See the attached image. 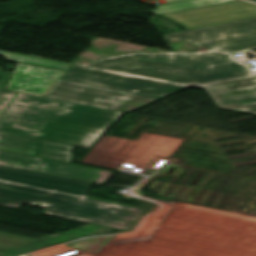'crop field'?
I'll return each instance as SVG.
<instances>
[{
	"label": "crop field",
	"instance_id": "8",
	"mask_svg": "<svg viewBox=\"0 0 256 256\" xmlns=\"http://www.w3.org/2000/svg\"><path fill=\"white\" fill-rule=\"evenodd\" d=\"M0 149L70 162L72 146L0 132Z\"/></svg>",
	"mask_w": 256,
	"mask_h": 256
},
{
	"label": "crop field",
	"instance_id": "13",
	"mask_svg": "<svg viewBox=\"0 0 256 256\" xmlns=\"http://www.w3.org/2000/svg\"><path fill=\"white\" fill-rule=\"evenodd\" d=\"M7 82L5 81H0V88L4 89V87L6 86Z\"/></svg>",
	"mask_w": 256,
	"mask_h": 256
},
{
	"label": "crop field",
	"instance_id": "15",
	"mask_svg": "<svg viewBox=\"0 0 256 256\" xmlns=\"http://www.w3.org/2000/svg\"><path fill=\"white\" fill-rule=\"evenodd\" d=\"M250 1H254V2H256V0H250Z\"/></svg>",
	"mask_w": 256,
	"mask_h": 256
},
{
	"label": "crop field",
	"instance_id": "3",
	"mask_svg": "<svg viewBox=\"0 0 256 256\" xmlns=\"http://www.w3.org/2000/svg\"><path fill=\"white\" fill-rule=\"evenodd\" d=\"M123 113L19 93L0 131L90 148Z\"/></svg>",
	"mask_w": 256,
	"mask_h": 256
},
{
	"label": "crop field",
	"instance_id": "7",
	"mask_svg": "<svg viewBox=\"0 0 256 256\" xmlns=\"http://www.w3.org/2000/svg\"><path fill=\"white\" fill-rule=\"evenodd\" d=\"M187 29L256 17V5L237 1L163 15Z\"/></svg>",
	"mask_w": 256,
	"mask_h": 256
},
{
	"label": "crop field",
	"instance_id": "12",
	"mask_svg": "<svg viewBox=\"0 0 256 256\" xmlns=\"http://www.w3.org/2000/svg\"><path fill=\"white\" fill-rule=\"evenodd\" d=\"M17 92H9L6 90L0 89V117L3 114V112L6 110L14 96Z\"/></svg>",
	"mask_w": 256,
	"mask_h": 256
},
{
	"label": "crop field",
	"instance_id": "2",
	"mask_svg": "<svg viewBox=\"0 0 256 256\" xmlns=\"http://www.w3.org/2000/svg\"><path fill=\"white\" fill-rule=\"evenodd\" d=\"M93 184L0 166V204L43 206L47 214L129 230L142 209L87 199Z\"/></svg>",
	"mask_w": 256,
	"mask_h": 256
},
{
	"label": "crop field",
	"instance_id": "6",
	"mask_svg": "<svg viewBox=\"0 0 256 256\" xmlns=\"http://www.w3.org/2000/svg\"><path fill=\"white\" fill-rule=\"evenodd\" d=\"M0 164L102 184L111 171L0 151Z\"/></svg>",
	"mask_w": 256,
	"mask_h": 256
},
{
	"label": "crop field",
	"instance_id": "5",
	"mask_svg": "<svg viewBox=\"0 0 256 256\" xmlns=\"http://www.w3.org/2000/svg\"><path fill=\"white\" fill-rule=\"evenodd\" d=\"M44 96L122 112H128L159 99L59 79Z\"/></svg>",
	"mask_w": 256,
	"mask_h": 256
},
{
	"label": "crop field",
	"instance_id": "1",
	"mask_svg": "<svg viewBox=\"0 0 256 256\" xmlns=\"http://www.w3.org/2000/svg\"><path fill=\"white\" fill-rule=\"evenodd\" d=\"M166 41L209 45L202 52L177 53L219 108L256 114V75L233 53L256 49V18L163 35Z\"/></svg>",
	"mask_w": 256,
	"mask_h": 256
},
{
	"label": "crop field",
	"instance_id": "9",
	"mask_svg": "<svg viewBox=\"0 0 256 256\" xmlns=\"http://www.w3.org/2000/svg\"><path fill=\"white\" fill-rule=\"evenodd\" d=\"M62 72L18 63L6 89L43 96Z\"/></svg>",
	"mask_w": 256,
	"mask_h": 256
},
{
	"label": "crop field",
	"instance_id": "14",
	"mask_svg": "<svg viewBox=\"0 0 256 256\" xmlns=\"http://www.w3.org/2000/svg\"><path fill=\"white\" fill-rule=\"evenodd\" d=\"M166 1H168V2H172V1H178V0H166Z\"/></svg>",
	"mask_w": 256,
	"mask_h": 256
},
{
	"label": "crop field",
	"instance_id": "10",
	"mask_svg": "<svg viewBox=\"0 0 256 256\" xmlns=\"http://www.w3.org/2000/svg\"><path fill=\"white\" fill-rule=\"evenodd\" d=\"M230 1H237V0H183V1L172 2V3L156 6V9L146 11L145 13L154 12L157 15H162V14H168V13H173L177 11L197 8V7L211 5V4L230 2Z\"/></svg>",
	"mask_w": 256,
	"mask_h": 256
},
{
	"label": "crop field",
	"instance_id": "11",
	"mask_svg": "<svg viewBox=\"0 0 256 256\" xmlns=\"http://www.w3.org/2000/svg\"><path fill=\"white\" fill-rule=\"evenodd\" d=\"M1 55L5 56L10 61L46 66L51 68L63 69V70H66L67 67L69 66L65 64L54 63V62L44 61L40 59H35V58L20 56L16 54L5 53V52H1Z\"/></svg>",
	"mask_w": 256,
	"mask_h": 256
},
{
	"label": "crop field",
	"instance_id": "4",
	"mask_svg": "<svg viewBox=\"0 0 256 256\" xmlns=\"http://www.w3.org/2000/svg\"><path fill=\"white\" fill-rule=\"evenodd\" d=\"M62 79L159 98L188 86L202 88L176 53L110 57L91 68L73 65Z\"/></svg>",
	"mask_w": 256,
	"mask_h": 256
}]
</instances>
